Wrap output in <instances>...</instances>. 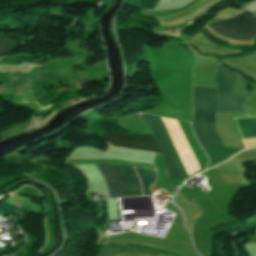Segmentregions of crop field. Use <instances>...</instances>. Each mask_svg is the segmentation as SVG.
<instances>
[{
  "label": "crop field",
  "instance_id": "crop-field-1",
  "mask_svg": "<svg viewBox=\"0 0 256 256\" xmlns=\"http://www.w3.org/2000/svg\"><path fill=\"white\" fill-rule=\"evenodd\" d=\"M215 89L194 87V119L192 128L202 147L223 146L214 126Z\"/></svg>",
  "mask_w": 256,
  "mask_h": 256
},
{
  "label": "crop field",
  "instance_id": "crop-field-2",
  "mask_svg": "<svg viewBox=\"0 0 256 256\" xmlns=\"http://www.w3.org/2000/svg\"><path fill=\"white\" fill-rule=\"evenodd\" d=\"M98 173L104 180L107 195L111 197H124L125 196H139V190L137 186L136 179L140 181L141 193L142 195H150L146 183V179L143 174L139 171L138 168L131 167L138 178L134 177L129 167H121V166H112L113 170L116 172L118 177L120 178L124 190H122L121 182L117 175L114 173L110 165H94ZM138 181V185H139ZM139 187V189H140Z\"/></svg>",
  "mask_w": 256,
  "mask_h": 256
},
{
  "label": "crop field",
  "instance_id": "crop-field-3",
  "mask_svg": "<svg viewBox=\"0 0 256 256\" xmlns=\"http://www.w3.org/2000/svg\"><path fill=\"white\" fill-rule=\"evenodd\" d=\"M235 75L227 69L221 68L217 61L215 69L216 112H231L230 99L232 102V112H243L239 105L245 99L233 92L231 95Z\"/></svg>",
  "mask_w": 256,
  "mask_h": 256
},
{
  "label": "crop field",
  "instance_id": "crop-field-4",
  "mask_svg": "<svg viewBox=\"0 0 256 256\" xmlns=\"http://www.w3.org/2000/svg\"><path fill=\"white\" fill-rule=\"evenodd\" d=\"M217 32L227 38L250 41L256 33V19L252 13L244 12L234 18L210 24Z\"/></svg>",
  "mask_w": 256,
  "mask_h": 256
},
{
  "label": "crop field",
  "instance_id": "crop-field-5",
  "mask_svg": "<svg viewBox=\"0 0 256 256\" xmlns=\"http://www.w3.org/2000/svg\"><path fill=\"white\" fill-rule=\"evenodd\" d=\"M101 137L106 140L110 145L117 148L162 153L156 142L150 137V135L129 136L107 131Z\"/></svg>",
  "mask_w": 256,
  "mask_h": 256
},
{
  "label": "crop field",
  "instance_id": "crop-field-6",
  "mask_svg": "<svg viewBox=\"0 0 256 256\" xmlns=\"http://www.w3.org/2000/svg\"><path fill=\"white\" fill-rule=\"evenodd\" d=\"M145 116H146V118H147V120H148V122H149V124L151 126V129H152V131H153V133H154V135H155V137L157 139L158 144L160 145V147H161V149L163 151L164 162H165L167 171L169 173V176L174 178V179L182 181V179H181V177H180V175H179V173H178V171H177V169H176V167H175V165H174V163L172 161V158H171V156H170V154H169V152H168V150H167V148H166V146H165V144H164V142H163V140L161 138V135H160V133H159V131H158V129H157V127H156L152 117L148 116V115H145Z\"/></svg>",
  "mask_w": 256,
  "mask_h": 256
},
{
  "label": "crop field",
  "instance_id": "crop-field-7",
  "mask_svg": "<svg viewBox=\"0 0 256 256\" xmlns=\"http://www.w3.org/2000/svg\"><path fill=\"white\" fill-rule=\"evenodd\" d=\"M20 43L8 39V38H1L0 37V58L9 52H11L13 49H15Z\"/></svg>",
  "mask_w": 256,
  "mask_h": 256
}]
</instances>
